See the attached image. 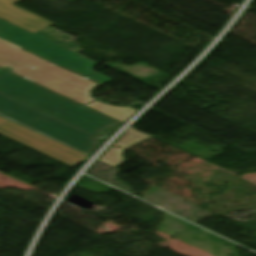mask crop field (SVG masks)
<instances>
[{
    "mask_svg": "<svg viewBox=\"0 0 256 256\" xmlns=\"http://www.w3.org/2000/svg\"><path fill=\"white\" fill-rule=\"evenodd\" d=\"M0 92L102 139L112 132L106 127L116 122L11 73L0 77Z\"/></svg>",
    "mask_w": 256,
    "mask_h": 256,
    "instance_id": "8a807250",
    "label": "crop field"
},
{
    "mask_svg": "<svg viewBox=\"0 0 256 256\" xmlns=\"http://www.w3.org/2000/svg\"><path fill=\"white\" fill-rule=\"evenodd\" d=\"M21 0H0V18L33 34L53 24L13 4Z\"/></svg>",
    "mask_w": 256,
    "mask_h": 256,
    "instance_id": "f4fd0767",
    "label": "crop field"
},
{
    "mask_svg": "<svg viewBox=\"0 0 256 256\" xmlns=\"http://www.w3.org/2000/svg\"><path fill=\"white\" fill-rule=\"evenodd\" d=\"M0 114L90 155L100 145V138L1 93Z\"/></svg>",
    "mask_w": 256,
    "mask_h": 256,
    "instance_id": "ac0d7876",
    "label": "crop field"
},
{
    "mask_svg": "<svg viewBox=\"0 0 256 256\" xmlns=\"http://www.w3.org/2000/svg\"><path fill=\"white\" fill-rule=\"evenodd\" d=\"M123 150L116 147H111L110 150L100 159L113 167L120 165L124 162L123 156L121 155Z\"/></svg>",
    "mask_w": 256,
    "mask_h": 256,
    "instance_id": "e52e79f7",
    "label": "crop field"
},
{
    "mask_svg": "<svg viewBox=\"0 0 256 256\" xmlns=\"http://www.w3.org/2000/svg\"><path fill=\"white\" fill-rule=\"evenodd\" d=\"M120 124H121V122H118V123H116V124H114V125H112V126H110V127H108V128L114 130V129H115L116 127H118Z\"/></svg>",
    "mask_w": 256,
    "mask_h": 256,
    "instance_id": "d8731c3e",
    "label": "crop field"
},
{
    "mask_svg": "<svg viewBox=\"0 0 256 256\" xmlns=\"http://www.w3.org/2000/svg\"><path fill=\"white\" fill-rule=\"evenodd\" d=\"M0 38L56 62L100 84L112 79L91 70L96 62L0 19Z\"/></svg>",
    "mask_w": 256,
    "mask_h": 256,
    "instance_id": "34b2d1b8",
    "label": "crop field"
},
{
    "mask_svg": "<svg viewBox=\"0 0 256 256\" xmlns=\"http://www.w3.org/2000/svg\"><path fill=\"white\" fill-rule=\"evenodd\" d=\"M6 73H8V72H6V71L0 69V76L4 75V74H6Z\"/></svg>",
    "mask_w": 256,
    "mask_h": 256,
    "instance_id": "5a996713",
    "label": "crop field"
},
{
    "mask_svg": "<svg viewBox=\"0 0 256 256\" xmlns=\"http://www.w3.org/2000/svg\"><path fill=\"white\" fill-rule=\"evenodd\" d=\"M152 137H149L133 128H130L116 143L115 145L120 146L124 149H127L131 146H134L138 143H141L145 140H148Z\"/></svg>",
    "mask_w": 256,
    "mask_h": 256,
    "instance_id": "dd49c442",
    "label": "crop field"
},
{
    "mask_svg": "<svg viewBox=\"0 0 256 256\" xmlns=\"http://www.w3.org/2000/svg\"><path fill=\"white\" fill-rule=\"evenodd\" d=\"M0 135L69 167L88 156L0 116Z\"/></svg>",
    "mask_w": 256,
    "mask_h": 256,
    "instance_id": "412701ff",
    "label": "crop field"
}]
</instances>
